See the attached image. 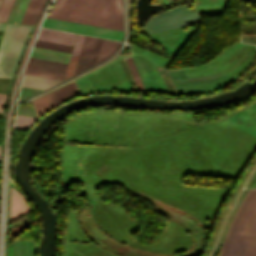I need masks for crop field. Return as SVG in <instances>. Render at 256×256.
I'll use <instances>...</instances> for the list:
<instances>
[{
	"mask_svg": "<svg viewBox=\"0 0 256 256\" xmlns=\"http://www.w3.org/2000/svg\"><path fill=\"white\" fill-rule=\"evenodd\" d=\"M29 0H22L12 22L19 23Z\"/></svg>",
	"mask_w": 256,
	"mask_h": 256,
	"instance_id": "19",
	"label": "crop field"
},
{
	"mask_svg": "<svg viewBox=\"0 0 256 256\" xmlns=\"http://www.w3.org/2000/svg\"><path fill=\"white\" fill-rule=\"evenodd\" d=\"M42 27L107 39L121 40L123 32L46 18Z\"/></svg>",
	"mask_w": 256,
	"mask_h": 256,
	"instance_id": "4",
	"label": "crop field"
},
{
	"mask_svg": "<svg viewBox=\"0 0 256 256\" xmlns=\"http://www.w3.org/2000/svg\"><path fill=\"white\" fill-rule=\"evenodd\" d=\"M200 15L178 5L152 16L145 28L146 34L200 22Z\"/></svg>",
	"mask_w": 256,
	"mask_h": 256,
	"instance_id": "3",
	"label": "crop field"
},
{
	"mask_svg": "<svg viewBox=\"0 0 256 256\" xmlns=\"http://www.w3.org/2000/svg\"><path fill=\"white\" fill-rule=\"evenodd\" d=\"M76 34L41 28L36 39L72 45Z\"/></svg>",
	"mask_w": 256,
	"mask_h": 256,
	"instance_id": "7",
	"label": "crop field"
},
{
	"mask_svg": "<svg viewBox=\"0 0 256 256\" xmlns=\"http://www.w3.org/2000/svg\"><path fill=\"white\" fill-rule=\"evenodd\" d=\"M36 120L37 119H35V118L17 115L15 129L26 131L31 126V124Z\"/></svg>",
	"mask_w": 256,
	"mask_h": 256,
	"instance_id": "15",
	"label": "crop field"
},
{
	"mask_svg": "<svg viewBox=\"0 0 256 256\" xmlns=\"http://www.w3.org/2000/svg\"><path fill=\"white\" fill-rule=\"evenodd\" d=\"M47 0H30L20 23L35 25Z\"/></svg>",
	"mask_w": 256,
	"mask_h": 256,
	"instance_id": "10",
	"label": "crop field"
},
{
	"mask_svg": "<svg viewBox=\"0 0 256 256\" xmlns=\"http://www.w3.org/2000/svg\"><path fill=\"white\" fill-rule=\"evenodd\" d=\"M125 61H126L128 67H129V70H130V73H131V75H132V78H133V79L135 80V82H136V85H137L138 90L144 91L143 86H142V84H141V82H140V79H139V77H138V74H137V72H136V70H135V67H134V65H133V62H132L131 58H130V57H129V58H126Z\"/></svg>",
	"mask_w": 256,
	"mask_h": 256,
	"instance_id": "18",
	"label": "crop field"
},
{
	"mask_svg": "<svg viewBox=\"0 0 256 256\" xmlns=\"http://www.w3.org/2000/svg\"><path fill=\"white\" fill-rule=\"evenodd\" d=\"M11 79L0 78V93L6 94Z\"/></svg>",
	"mask_w": 256,
	"mask_h": 256,
	"instance_id": "20",
	"label": "crop field"
},
{
	"mask_svg": "<svg viewBox=\"0 0 256 256\" xmlns=\"http://www.w3.org/2000/svg\"><path fill=\"white\" fill-rule=\"evenodd\" d=\"M24 73L37 75V76H43V77H49V78H54V79H60V80H62L63 76H64L62 74H56V73L39 71V70L28 69V68L25 69Z\"/></svg>",
	"mask_w": 256,
	"mask_h": 256,
	"instance_id": "16",
	"label": "crop field"
},
{
	"mask_svg": "<svg viewBox=\"0 0 256 256\" xmlns=\"http://www.w3.org/2000/svg\"><path fill=\"white\" fill-rule=\"evenodd\" d=\"M5 26H6V24L0 23V30H4V29H5Z\"/></svg>",
	"mask_w": 256,
	"mask_h": 256,
	"instance_id": "23",
	"label": "crop field"
},
{
	"mask_svg": "<svg viewBox=\"0 0 256 256\" xmlns=\"http://www.w3.org/2000/svg\"><path fill=\"white\" fill-rule=\"evenodd\" d=\"M119 43L108 41V40H102L100 52L98 55L97 63L102 61L104 58L108 57L112 54L114 50L117 49Z\"/></svg>",
	"mask_w": 256,
	"mask_h": 256,
	"instance_id": "13",
	"label": "crop field"
},
{
	"mask_svg": "<svg viewBox=\"0 0 256 256\" xmlns=\"http://www.w3.org/2000/svg\"><path fill=\"white\" fill-rule=\"evenodd\" d=\"M5 96H6V95H1V94H0V112H1V109H2V104H3V101H4Z\"/></svg>",
	"mask_w": 256,
	"mask_h": 256,
	"instance_id": "22",
	"label": "crop field"
},
{
	"mask_svg": "<svg viewBox=\"0 0 256 256\" xmlns=\"http://www.w3.org/2000/svg\"><path fill=\"white\" fill-rule=\"evenodd\" d=\"M0 32H3V31H0ZM2 35V33H0V36Z\"/></svg>",
	"mask_w": 256,
	"mask_h": 256,
	"instance_id": "24",
	"label": "crop field"
},
{
	"mask_svg": "<svg viewBox=\"0 0 256 256\" xmlns=\"http://www.w3.org/2000/svg\"><path fill=\"white\" fill-rule=\"evenodd\" d=\"M58 82L59 80H53V79L24 74L22 85L46 89Z\"/></svg>",
	"mask_w": 256,
	"mask_h": 256,
	"instance_id": "11",
	"label": "crop field"
},
{
	"mask_svg": "<svg viewBox=\"0 0 256 256\" xmlns=\"http://www.w3.org/2000/svg\"><path fill=\"white\" fill-rule=\"evenodd\" d=\"M13 243L7 246V256H12Z\"/></svg>",
	"mask_w": 256,
	"mask_h": 256,
	"instance_id": "21",
	"label": "crop field"
},
{
	"mask_svg": "<svg viewBox=\"0 0 256 256\" xmlns=\"http://www.w3.org/2000/svg\"><path fill=\"white\" fill-rule=\"evenodd\" d=\"M1 2V1H0Z\"/></svg>",
	"mask_w": 256,
	"mask_h": 256,
	"instance_id": "26",
	"label": "crop field"
},
{
	"mask_svg": "<svg viewBox=\"0 0 256 256\" xmlns=\"http://www.w3.org/2000/svg\"><path fill=\"white\" fill-rule=\"evenodd\" d=\"M14 0H2L0 5V22H5Z\"/></svg>",
	"mask_w": 256,
	"mask_h": 256,
	"instance_id": "17",
	"label": "crop field"
},
{
	"mask_svg": "<svg viewBox=\"0 0 256 256\" xmlns=\"http://www.w3.org/2000/svg\"><path fill=\"white\" fill-rule=\"evenodd\" d=\"M24 199L20 194L11 189L10 221L29 213L31 210Z\"/></svg>",
	"mask_w": 256,
	"mask_h": 256,
	"instance_id": "9",
	"label": "crop field"
},
{
	"mask_svg": "<svg viewBox=\"0 0 256 256\" xmlns=\"http://www.w3.org/2000/svg\"><path fill=\"white\" fill-rule=\"evenodd\" d=\"M83 37L84 36H81V35L76 36L75 43H74V46H73L72 53H71L70 57H78L79 51H80V48H81V44H82V41H83ZM77 59L78 58H70L69 59L64 79L72 76L75 65H76V62H77Z\"/></svg>",
	"mask_w": 256,
	"mask_h": 256,
	"instance_id": "12",
	"label": "crop field"
},
{
	"mask_svg": "<svg viewBox=\"0 0 256 256\" xmlns=\"http://www.w3.org/2000/svg\"><path fill=\"white\" fill-rule=\"evenodd\" d=\"M79 94L74 82L65 85L41 98L32 101L38 117L42 116L51 108Z\"/></svg>",
	"mask_w": 256,
	"mask_h": 256,
	"instance_id": "5",
	"label": "crop field"
},
{
	"mask_svg": "<svg viewBox=\"0 0 256 256\" xmlns=\"http://www.w3.org/2000/svg\"><path fill=\"white\" fill-rule=\"evenodd\" d=\"M48 17L122 31L121 0H58Z\"/></svg>",
	"mask_w": 256,
	"mask_h": 256,
	"instance_id": "1",
	"label": "crop field"
},
{
	"mask_svg": "<svg viewBox=\"0 0 256 256\" xmlns=\"http://www.w3.org/2000/svg\"><path fill=\"white\" fill-rule=\"evenodd\" d=\"M37 47H43V48H49V49H55V50H61V51H71V47L69 45H63V44H57V43H51V42H45V41H35V45Z\"/></svg>",
	"mask_w": 256,
	"mask_h": 256,
	"instance_id": "14",
	"label": "crop field"
},
{
	"mask_svg": "<svg viewBox=\"0 0 256 256\" xmlns=\"http://www.w3.org/2000/svg\"><path fill=\"white\" fill-rule=\"evenodd\" d=\"M101 40L102 39H99V38H93V37H87V36L84 37V41H83L80 56L77 62V66L75 69V73L83 69H86L96 63Z\"/></svg>",
	"mask_w": 256,
	"mask_h": 256,
	"instance_id": "6",
	"label": "crop field"
},
{
	"mask_svg": "<svg viewBox=\"0 0 256 256\" xmlns=\"http://www.w3.org/2000/svg\"><path fill=\"white\" fill-rule=\"evenodd\" d=\"M26 67L45 70V71H51L56 73H62V74H64L66 69L65 63H59V62L42 60V59L31 58V57L28 58Z\"/></svg>",
	"mask_w": 256,
	"mask_h": 256,
	"instance_id": "8",
	"label": "crop field"
},
{
	"mask_svg": "<svg viewBox=\"0 0 256 256\" xmlns=\"http://www.w3.org/2000/svg\"><path fill=\"white\" fill-rule=\"evenodd\" d=\"M30 27L7 24L0 46V77H12L23 41Z\"/></svg>",
	"mask_w": 256,
	"mask_h": 256,
	"instance_id": "2",
	"label": "crop field"
},
{
	"mask_svg": "<svg viewBox=\"0 0 256 256\" xmlns=\"http://www.w3.org/2000/svg\"><path fill=\"white\" fill-rule=\"evenodd\" d=\"M1 39V38H0Z\"/></svg>",
	"mask_w": 256,
	"mask_h": 256,
	"instance_id": "25",
	"label": "crop field"
}]
</instances>
